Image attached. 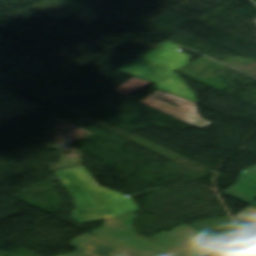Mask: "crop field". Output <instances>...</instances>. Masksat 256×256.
<instances>
[{
  "label": "crop field",
  "mask_w": 256,
  "mask_h": 256,
  "mask_svg": "<svg viewBox=\"0 0 256 256\" xmlns=\"http://www.w3.org/2000/svg\"><path fill=\"white\" fill-rule=\"evenodd\" d=\"M136 218L133 213L105 220L102 227L90 233L135 256H164L173 251L185 256H202L241 239L236 227L210 237L183 223L154 235L161 241L153 243L135 236L133 220Z\"/></svg>",
  "instance_id": "crop-field-1"
},
{
  "label": "crop field",
  "mask_w": 256,
  "mask_h": 256,
  "mask_svg": "<svg viewBox=\"0 0 256 256\" xmlns=\"http://www.w3.org/2000/svg\"><path fill=\"white\" fill-rule=\"evenodd\" d=\"M56 174L76 198L78 209L74 210L72 217L79 224L139 211L132 198L126 199L123 194L98 186L83 166L56 171Z\"/></svg>",
  "instance_id": "crop-field-2"
},
{
  "label": "crop field",
  "mask_w": 256,
  "mask_h": 256,
  "mask_svg": "<svg viewBox=\"0 0 256 256\" xmlns=\"http://www.w3.org/2000/svg\"><path fill=\"white\" fill-rule=\"evenodd\" d=\"M182 46L167 41L161 47L135 59L118 72L155 84L154 88L197 102L194 93L174 72L189 63L190 55L177 51Z\"/></svg>",
  "instance_id": "crop-field-3"
},
{
  "label": "crop field",
  "mask_w": 256,
  "mask_h": 256,
  "mask_svg": "<svg viewBox=\"0 0 256 256\" xmlns=\"http://www.w3.org/2000/svg\"><path fill=\"white\" fill-rule=\"evenodd\" d=\"M159 98L177 104L179 105V108L168 103H165L159 100ZM140 102L148 106H151L159 111H162L170 116L183 120L199 129H202L212 124L211 122H208L199 117L196 103L168 94L160 90L154 92L153 94L144 98Z\"/></svg>",
  "instance_id": "crop-field-4"
},
{
  "label": "crop field",
  "mask_w": 256,
  "mask_h": 256,
  "mask_svg": "<svg viewBox=\"0 0 256 256\" xmlns=\"http://www.w3.org/2000/svg\"><path fill=\"white\" fill-rule=\"evenodd\" d=\"M98 240L86 247H83L75 252L60 255V256H133L103 240H99L87 233H84L73 239L70 246L78 249L86 244Z\"/></svg>",
  "instance_id": "crop-field-5"
},
{
  "label": "crop field",
  "mask_w": 256,
  "mask_h": 256,
  "mask_svg": "<svg viewBox=\"0 0 256 256\" xmlns=\"http://www.w3.org/2000/svg\"><path fill=\"white\" fill-rule=\"evenodd\" d=\"M246 173H241L236 185L225 190L224 193L252 205L256 208V166L245 169Z\"/></svg>",
  "instance_id": "crop-field-6"
},
{
  "label": "crop field",
  "mask_w": 256,
  "mask_h": 256,
  "mask_svg": "<svg viewBox=\"0 0 256 256\" xmlns=\"http://www.w3.org/2000/svg\"><path fill=\"white\" fill-rule=\"evenodd\" d=\"M135 83H132V82ZM132 83L130 86L127 87L128 84ZM149 82L143 81L141 79L138 78H131L130 80H128L126 83H124L123 85H121L120 87H118L117 89H115V91L127 96L130 93H132L135 90H140L143 87H145L146 85H148ZM123 90H126L125 92H122Z\"/></svg>",
  "instance_id": "crop-field-7"
},
{
  "label": "crop field",
  "mask_w": 256,
  "mask_h": 256,
  "mask_svg": "<svg viewBox=\"0 0 256 256\" xmlns=\"http://www.w3.org/2000/svg\"><path fill=\"white\" fill-rule=\"evenodd\" d=\"M241 234L256 242V226L234 217Z\"/></svg>",
  "instance_id": "crop-field-8"
},
{
  "label": "crop field",
  "mask_w": 256,
  "mask_h": 256,
  "mask_svg": "<svg viewBox=\"0 0 256 256\" xmlns=\"http://www.w3.org/2000/svg\"><path fill=\"white\" fill-rule=\"evenodd\" d=\"M236 217L245 220L253 225H256V209L252 207H247L241 213H239Z\"/></svg>",
  "instance_id": "crop-field-9"
},
{
  "label": "crop field",
  "mask_w": 256,
  "mask_h": 256,
  "mask_svg": "<svg viewBox=\"0 0 256 256\" xmlns=\"http://www.w3.org/2000/svg\"><path fill=\"white\" fill-rule=\"evenodd\" d=\"M166 256H182V255H180V254H178V253H176V252H173V253H171V254H169V255H166Z\"/></svg>",
  "instance_id": "crop-field-10"
}]
</instances>
